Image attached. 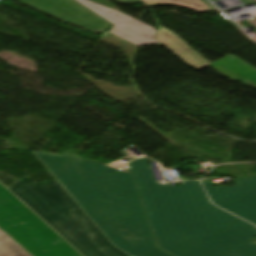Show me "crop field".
Listing matches in <instances>:
<instances>
[{
  "instance_id": "8",
  "label": "crop field",
  "mask_w": 256,
  "mask_h": 256,
  "mask_svg": "<svg viewBox=\"0 0 256 256\" xmlns=\"http://www.w3.org/2000/svg\"><path fill=\"white\" fill-rule=\"evenodd\" d=\"M228 78L256 88V68L229 54L208 65Z\"/></svg>"
},
{
  "instance_id": "14",
  "label": "crop field",
  "mask_w": 256,
  "mask_h": 256,
  "mask_svg": "<svg viewBox=\"0 0 256 256\" xmlns=\"http://www.w3.org/2000/svg\"><path fill=\"white\" fill-rule=\"evenodd\" d=\"M248 22L256 27V19L248 20Z\"/></svg>"
},
{
  "instance_id": "9",
  "label": "crop field",
  "mask_w": 256,
  "mask_h": 256,
  "mask_svg": "<svg viewBox=\"0 0 256 256\" xmlns=\"http://www.w3.org/2000/svg\"><path fill=\"white\" fill-rule=\"evenodd\" d=\"M157 38L160 42H162L163 45L173 51L183 61L197 69L205 66L208 63V61L189 48L190 46L188 47L173 33L163 27H160Z\"/></svg>"
},
{
  "instance_id": "5",
  "label": "crop field",
  "mask_w": 256,
  "mask_h": 256,
  "mask_svg": "<svg viewBox=\"0 0 256 256\" xmlns=\"http://www.w3.org/2000/svg\"><path fill=\"white\" fill-rule=\"evenodd\" d=\"M21 2L95 33H103L111 25L74 0H21Z\"/></svg>"
},
{
  "instance_id": "2",
  "label": "crop field",
  "mask_w": 256,
  "mask_h": 256,
  "mask_svg": "<svg viewBox=\"0 0 256 256\" xmlns=\"http://www.w3.org/2000/svg\"><path fill=\"white\" fill-rule=\"evenodd\" d=\"M113 245L129 256H172L154 241L131 173L32 151Z\"/></svg>"
},
{
  "instance_id": "6",
  "label": "crop field",
  "mask_w": 256,
  "mask_h": 256,
  "mask_svg": "<svg viewBox=\"0 0 256 256\" xmlns=\"http://www.w3.org/2000/svg\"><path fill=\"white\" fill-rule=\"evenodd\" d=\"M236 186L213 188L210 181L203 182L217 206L256 225V196L249 193L243 180H234Z\"/></svg>"
},
{
  "instance_id": "1",
  "label": "crop field",
  "mask_w": 256,
  "mask_h": 256,
  "mask_svg": "<svg viewBox=\"0 0 256 256\" xmlns=\"http://www.w3.org/2000/svg\"><path fill=\"white\" fill-rule=\"evenodd\" d=\"M159 247L175 256H256V227L211 205L198 181L155 183L144 158L130 163Z\"/></svg>"
},
{
  "instance_id": "12",
  "label": "crop field",
  "mask_w": 256,
  "mask_h": 256,
  "mask_svg": "<svg viewBox=\"0 0 256 256\" xmlns=\"http://www.w3.org/2000/svg\"><path fill=\"white\" fill-rule=\"evenodd\" d=\"M249 192L256 195V177L243 179Z\"/></svg>"
},
{
  "instance_id": "15",
  "label": "crop field",
  "mask_w": 256,
  "mask_h": 256,
  "mask_svg": "<svg viewBox=\"0 0 256 256\" xmlns=\"http://www.w3.org/2000/svg\"><path fill=\"white\" fill-rule=\"evenodd\" d=\"M256 1V0H255Z\"/></svg>"
},
{
  "instance_id": "10",
  "label": "crop field",
  "mask_w": 256,
  "mask_h": 256,
  "mask_svg": "<svg viewBox=\"0 0 256 256\" xmlns=\"http://www.w3.org/2000/svg\"><path fill=\"white\" fill-rule=\"evenodd\" d=\"M148 5L171 3L185 8L193 9L196 11L204 12L212 10L207 3L203 0H143Z\"/></svg>"
},
{
  "instance_id": "11",
  "label": "crop field",
  "mask_w": 256,
  "mask_h": 256,
  "mask_svg": "<svg viewBox=\"0 0 256 256\" xmlns=\"http://www.w3.org/2000/svg\"><path fill=\"white\" fill-rule=\"evenodd\" d=\"M6 235L0 231V256H31Z\"/></svg>"
},
{
  "instance_id": "7",
  "label": "crop field",
  "mask_w": 256,
  "mask_h": 256,
  "mask_svg": "<svg viewBox=\"0 0 256 256\" xmlns=\"http://www.w3.org/2000/svg\"><path fill=\"white\" fill-rule=\"evenodd\" d=\"M114 24L110 33L137 46L159 43L154 39L155 29L119 12L92 3L76 0Z\"/></svg>"
},
{
  "instance_id": "4",
  "label": "crop field",
  "mask_w": 256,
  "mask_h": 256,
  "mask_svg": "<svg viewBox=\"0 0 256 256\" xmlns=\"http://www.w3.org/2000/svg\"><path fill=\"white\" fill-rule=\"evenodd\" d=\"M0 227L34 256H81L1 184Z\"/></svg>"
},
{
  "instance_id": "3",
  "label": "crop field",
  "mask_w": 256,
  "mask_h": 256,
  "mask_svg": "<svg viewBox=\"0 0 256 256\" xmlns=\"http://www.w3.org/2000/svg\"><path fill=\"white\" fill-rule=\"evenodd\" d=\"M10 190L84 256H128L110 243L56 180L35 184L26 175Z\"/></svg>"
},
{
  "instance_id": "13",
  "label": "crop field",
  "mask_w": 256,
  "mask_h": 256,
  "mask_svg": "<svg viewBox=\"0 0 256 256\" xmlns=\"http://www.w3.org/2000/svg\"><path fill=\"white\" fill-rule=\"evenodd\" d=\"M115 1L120 2L122 4H127V3L139 2L140 0H115Z\"/></svg>"
}]
</instances>
